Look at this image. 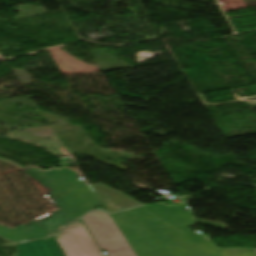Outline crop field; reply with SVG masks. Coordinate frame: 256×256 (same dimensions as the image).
Wrapping results in <instances>:
<instances>
[{"label": "crop field", "mask_w": 256, "mask_h": 256, "mask_svg": "<svg viewBox=\"0 0 256 256\" xmlns=\"http://www.w3.org/2000/svg\"><path fill=\"white\" fill-rule=\"evenodd\" d=\"M139 256H221L213 241L187 227L188 211L156 203L112 214Z\"/></svg>", "instance_id": "crop-field-1"}, {"label": "crop field", "mask_w": 256, "mask_h": 256, "mask_svg": "<svg viewBox=\"0 0 256 256\" xmlns=\"http://www.w3.org/2000/svg\"><path fill=\"white\" fill-rule=\"evenodd\" d=\"M24 172L50 191L46 195L61 210L15 229L0 225V236L6 240L18 243L52 235L101 202L89 184L69 168L45 172L30 167Z\"/></svg>", "instance_id": "crop-field-2"}, {"label": "crop field", "mask_w": 256, "mask_h": 256, "mask_svg": "<svg viewBox=\"0 0 256 256\" xmlns=\"http://www.w3.org/2000/svg\"><path fill=\"white\" fill-rule=\"evenodd\" d=\"M82 219L106 256H138L111 214L92 211Z\"/></svg>", "instance_id": "crop-field-3"}, {"label": "crop field", "mask_w": 256, "mask_h": 256, "mask_svg": "<svg viewBox=\"0 0 256 256\" xmlns=\"http://www.w3.org/2000/svg\"><path fill=\"white\" fill-rule=\"evenodd\" d=\"M54 237L65 256H102L81 220Z\"/></svg>", "instance_id": "crop-field-4"}, {"label": "crop field", "mask_w": 256, "mask_h": 256, "mask_svg": "<svg viewBox=\"0 0 256 256\" xmlns=\"http://www.w3.org/2000/svg\"><path fill=\"white\" fill-rule=\"evenodd\" d=\"M109 212L141 205L124 193L107 187L101 183L91 185Z\"/></svg>", "instance_id": "crop-field-5"}, {"label": "crop field", "mask_w": 256, "mask_h": 256, "mask_svg": "<svg viewBox=\"0 0 256 256\" xmlns=\"http://www.w3.org/2000/svg\"><path fill=\"white\" fill-rule=\"evenodd\" d=\"M16 256H63L53 237L17 245Z\"/></svg>", "instance_id": "crop-field-6"}, {"label": "crop field", "mask_w": 256, "mask_h": 256, "mask_svg": "<svg viewBox=\"0 0 256 256\" xmlns=\"http://www.w3.org/2000/svg\"><path fill=\"white\" fill-rule=\"evenodd\" d=\"M222 256H256L253 248H218Z\"/></svg>", "instance_id": "crop-field-7"}, {"label": "crop field", "mask_w": 256, "mask_h": 256, "mask_svg": "<svg viewBox=\"0 0 256 256\" xmlns=\"http://www.w3.org/2000/svg\"><path fill=\"white\" fill-rule=\"evenodd\" d=\"M254 250L256 251V248H254Z\"/></svg>", "instance_id": "crop-field-8"}]
</instances>
